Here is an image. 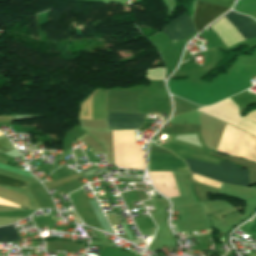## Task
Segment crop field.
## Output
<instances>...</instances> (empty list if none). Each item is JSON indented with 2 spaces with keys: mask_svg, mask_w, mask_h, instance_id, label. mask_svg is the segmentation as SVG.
Returning a JSON list of instances; mask_svg holds the SVG:
<instances>
[{
  "mask_svg": "<svg viewBox=\"0 0 256 256\" xmlns=\"http://www.w3.org/2000/svg\"><path fill=\"white\" fill-rule=\"evenodd\" d=\"M177 158L149 153L148 171H188L184 161Z\"/></svg>",
  "mask_w": 256,
  "mask_h": 256,
  "instance_id": "34b2d1b8",
  "label": "crop field"
},
{
  "mask_svg": "<svg viewBox=\"0 0 256 256\" xmlns=\"http://www.w3.org/2000/svg\"><path fill=\"white\" fill-rule=\"evenodd\" d=\"M14 149L11 143L8 141L5 135L0 136V153L4 154Z\"/></svg>",
  "mask_w": 256,
  "mask_h": 256,
  "instance_id": "5a996713",
  "label": "crop field"
},
{
  "mask_svg": "<svg viewBox=\"0 0 256 256\" xmlns=\"http://www.w3.org/2000/svg\"><path fill=\"white\" fill-rule=\"evenodd\" d=\"M225 16L246 39L256 37V25L250 18L233 12H230Z\"/></svg>",
  "mask_w": 256,
  "mask_h": 256,
  "instance_id": "dd49c442",
  "label": "crop field"
},
{
  "mask_svg": "<svg viewBox=\"0 0 256 256\" xmlns=\"http://www.w3.org/2000/svg\"><path fill=\"white\" fill-rule=\"evenodd\" d=\"M234 2L236 1V0H233Z\"/></svg>",
  "mask_w": 256,
  "mask_h": 256,
  "instance_id": "28ad6ade",
  "label": "crop field"
},
{
  "mask_svg": "<svg viewBox=\"0 0 256 256\" xmlns=\"http://www.w3.org/2000/svg\"><path fill=\"white\" fill-rule=\"evenodd\" d=\"M145 116L138 111H108V129H139Z\"/></svg>",
  "mask_w": 256,
  "mask_h": 256,
  "instance_id": "ac0d7876",
  "label": "crop field"
},
{
  "mask_svg": "<svg viewBox=\"0 0 256 256\" xmlns=\"http://www.w3.org/2000/svg\"><path fill=\"white\" fill-rule=\"evenodd\" d=\"M0 184L12 187L23 188L27 183L0 174Z\"/></svg>",
  "mask_w": 256,
  "mask_h": 256,
  "instance_id": "d8731c3e",
  "label": "crop field"
},
{
  "mask_svg": "<svg viewBox=\"0 0 256 256\" xmlns=\"http://www.w3.org/2000/svg\"><path fill=\"white\" fill-rule=\"evenodd\" d=\"M226 10L227 8L197 1L193 16L197 32H200L209 22Z\"/></svg>",
  "mask_w": 256,
  "mask_h": 256,
  "instance_id": "412701ff",
  "label": "crop field"
},
{
  "mask_svg": "<svg viewBox=\"0 0 256 256\" xmlns=\"http://www.w3.org/2000/svg\"><path fill=\"white\" fill-rule=\"evenodd\" d=\"M190 172L198 173L213 180L237 185L249 186V172L242 168L221 160L216 166L185 159Z\"/></svg>",
  "mask_w": 256,
  "mask_h": 256,
  "instance_id": "8a807250",
  "label": "crop field"
},
{
  "mask_svg": "<svg viewBox=\"0 0 256 256\" xmlns=\"http://www.w3.org/2000/svg\"><path fill=\"white\" fill-rule=\"evenodd\" d=\"M162 31L173 43L189 34L195 33L190 17L185 14L168 24Z\"/></svg>",
  "mask_w": 256,
  "mask_h": 256,
  "instance_id": "f4fd0767",
  "label": "crop field"
},
{
  "mask_svg": "<svg viewBox=\"0 0 256 256\" xmlns=\"http://www.w3.org/2000/svg\"><path fill=\"white\" fill-rule=\"evenodd\" d=\"M21 240L17 235L13 225L0 228V242L13 241L17 242Z\"/></svg>",
  "mask_w": 256,
  "mask_h": 256,
  "instance_id": "e52e79f7",
  "label": "crop field"
},
{
  "mask_svg": "<svg viewBox=\"0 0 256 256\" xmlns=\"http://www.w3.org/2000/svg\"><path fill=\"white\" fill-rule=\"evenodd\" d=\"M200 1H204L207 3L219 5V6H224V7H228V8H230L231 5L233 4L232 0H200Z\"/></svg>",
  "mask_w": 256,
  "mask_h": 256,
  "instance_id": "3316defc",
  "label": "crop field"
}]
</instances>
